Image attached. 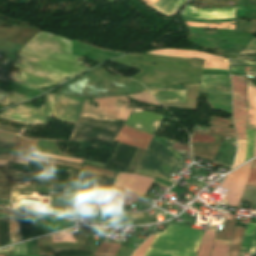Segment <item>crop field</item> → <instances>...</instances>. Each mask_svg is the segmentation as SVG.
I'll return each mask as SVG.
<instances>
[{"label":"crop field","instance_id":"crop-field-8","mask_svg":"<svg viewBox=\"0 0 256 256\" xmlns=\"http://www.w3.org/2000/svg\"><path fill=\"white\" fill-rule=\"evenodd\" d=\"M53 96H58L56 103L53 101ZM59 97H61V100H59ZM48 99L56 119L75 123L84 99L55 94H49Z\"/></svg>","mask_w":256,"mask_h":256},{"label":"crop field","instance_id":"crop-field-9","mask_svg":"<svg viewBox=\"0 0 256 256\" xmlns=\"http://www.w3.org/2000/svg\"><path fill=\"white\" fill-rule=\"evenodd\" d=\"M0 117L30 125H33L34 123L45 125L46 117L52 116L48 106H42L41 109H38L34 107L21 105L16 108L8 109L0 113Z\"/></svg>","mask_w":256,"mask_h":256},{"label":"crop field","instance_id":"crop-field-44","mask_svg":"<svg viewBox=\"0 0 256 256\" xmlns=\"http://www.w3.org/2000/svg\"><path fill=\"white\" fill-rule=\"evenodd\" d=\"M14 144L0 142V151L13 152Z\"/></svg>","mask_w":256,"mask_h":256},{"label":"crop field","instance_id":"crop-field-37","mask_svg":"<svg viewBox=\"0 0 256 256\" xmlns=\"http://www.w3.org/2000/svg\"><path fill=\"white\" fill-rule=\"evenodd\" d=\"M186 24L190 25V26H196V27H211V28L234 29V25H231L229 23H223V24H199V23H189V22H186Z\"/></svg>","mask_w":256,"mask_h":256},{"label":"crop field","instance_id":"crop-field-6","mask_svg":"<svg viewBox=\"0 0 256 256\" xmlns=\"http://www.w3.org/2000/svg\"><path fill=\"white\" fill-rule=\"evenodd\" d=\"M210 124L233 126L231 119L215 116H212ZM223 136L235 138L234 129L211 126L209 133L193 132V137L191 139L193 155L213 159Z\"/></svg>","mask_w":256,"mask_h":256},{"label":"crop field","instance_id":"crop-field-20","mask_svg":"<svg viewBox=\"0 0 256 256\" xmlns=\"http://www.w3.org/2000/svg\"><path fill=\"white\" fill-rule=\"evenodd\" d=\"M247 102L249 106L246 128L256 129V87L248 81ZM256 156V134L253 157Z\"/></svg>","mask_w":256,"mask_h":256},{"label":"crop field","instance_id":"crop-field-33","mask_svg":"<svg viewBox=\"0 0 256 256\" xmlns=\"http://www.w3.org/2000/svg\"><path fill=\"white\" fill-rule=\"evenodd\" d=\"M9 95H10V102H13V103H17L19 101L31 98V97H27V96L22 97L23 95L20 96L19 94H15V93H11V92H9ZM0 103L3 104V105L8 104V93H7V91L0 90Z\"/></svg>","mask_w":256,"mask_h":256},{"label":"crop field","instance_id":"crop-field-24","mask_svg":"<svg viewBox=\"0 0 256 256\" xmlns=\"http://www.w3.org/2000/svg\"><path fill=\"white\" fill-rule=\"evenodd\" d=\"M15 57L16 56L0 52V79L11 82L13 84L19 85V86L27 88V89L41 91V90L34 89V88L28 87L26 85H23V84H20V83H17V82L7 79V76L9 75V72H10V67H11Z\"/></svg>","mask_w":256,"mask_h":256},{"label":"crop field","instance_id":"crop-field-43","mask_svg":"<svg viewBox=\"0 0 256 256\" xmlns=\"http://www.w3.org/2000/svg\"><path fill=\"white\" fill-rule=\"evenodd\" d=\"M230 66H256L255 63H249L244 61L232 60L229 59Z\"/></svg>","mask_w":256,"mask_h":256},{"label":"crop field","instance_id":"crop-field-38","mask_svg":"<svg viewBox=\"0 0 256 256\" xmlns=\"http://www.w3.org/2000/svg\"><path fill=\"white\" fill-rule=\"evenodd\" d=\"M244 146H245V141H238V153H237L235 165L233 166V168L243 163Z\"/></svg>","mask_w":256,"mask_h":256},{"label":"crop field","instance_id":"crop-field-23","mask_svg":"<svg viewBox=\"0 0 256 256\" xmlns=\"http://www.w3.org/2000/svg\"><path fill=\"white\" fill-rule=\"evenodd\" d=\"M20 73L22 75L11 73L9 78L20 81V82H23L25 84H28V85H31V86H34V87H37V88H41V87L49 86V85H52V84H56L55 82H53L51 80L46 81L45 78H41V77H38V76H35V75H32V74H28V73H25V72H22V71H20ZM47 83H49V85H47Z\"/></svg>","mask_w":256,"mask_h":256},{"label":"crop field","instance_id":"crop-field-22","mask_svg":"<svg viewBox=\"0 0 256 256\" xmlns=\"http://www.w3.org/2000/svg\"><path fill=\"white\" fill-rule=\"evenodd\" d=\"M187 0H159L151 8L159 13L172 17L177 14Z\"/></svg>","mask_w":256,"mask_h":256},{"label":"crop field","instance_id":"crop-field-3","mask_svg":"<svg viewBox=\"0 0 256 256\" xmlns=\"http://www.w3.org/2000/svg\"><path fill=\"white\" fill-rule=\"evenodd\" d=\"M28 57H32L33 59L30 60ZM28 66L32 68L29 69L27 68ZM14 67L42 75L59 83L65 81L64 77L72 78L73 76L88 69L87 67L64 61L42 58L23 53H20L18 56Z\"/></svg>","mask_w":256,"mask_h":256},{"label":"crop field","instance_id":"crop-field-53","mask_svg":"<svg viewBox=\"0 0 256 256\" xmlns=\"http://www.w3.org/2000/svg\"><path fill=\"white\" fill-rule=\"evenodd\" d=\"M151 1V3L153 4L155 1H157V0H150Z\"/></svg>","mask_w":256,"mask_h":256},{"label":"crop field","instance_id":"crop-field-34","mask_svg":"<svg viewBox=\"0 0 256 256\" xmlns=\"http://www.w3.org/2000/svg\"><path fill=\"white\" fill-rule=\"evenodd\" d=\"M130 97L137 101L159 105L149 91H142L141 93L130 95Z\"/></svg>","mask_w":256,"mask_h":256},{"label":"crop field","instance_id":"crop-field-39","mask_svg":"<svg viewBox=\"0 0 256 256\" xmlns=\"http://www.w3.org/2000/svg\"><path fill=\"white\" fill-rule=\"evenodd\" d=\"M154 236H150L138 249L137 251L134 253L133 256H143L147 247L149 246V244L151 243V241L153 240Z\"/></svg>","mask_w":256,"mask_h":256},{"label":"crop field","instance_id":"crop-field-35","mask_svg":"<svg viewBox=\"0 0 256 256\" xmlns=\"http://www.w3.org/2000/svg\"><path fill=\"white\" fill-rule=\"evenodd\" d=\"M92 253L93 252H90V251L54 249V256H79V255L91 256Z\"/></svg>","mask_w":256,"mask_h":256},{"label":"crop field","instance_id":"crop-field-17","mask_svg":"<svg viewBox=\"0 0 256 256\" xmlns=\"http://www.w3.org/2000/svg\"><path fill=\"white\" fill-rule=\"evenodd\" d=\"M151 138L152 135L124 126L120 133L115 137L114 141L146 149Z\"/></svg>","mask_w":256,"mask_h":256},{"label":"crop field","instance_id":"crop-field-46","mask_svg":"<svg viewBox=\"0 0 256 256\" xmlns=\"http://www.w3.org/2000/svg\"><path fill=\"white\" fill-rule=\"evenodd\" d=\"M34 154H36V155H43V156H49V157H53V158H57V159H62V160H66V161H71V162L82 163V160H77V159H69V158L57 157V156H52V155H47V154H42V153H37V152H35Z\"/></svg>","mask_w":256,"mask_h":256},{"label":"crop field","instance_id":"crop-field-52","mask_svg":"<svg viewBox=\"0 0 256 256\" xmlns=\"http://www.w3.org/2000/svg\"><path fill=\"white\" fill-rule=\"evenodd\" d=\"M9 203H10V201L1 200V199H0V204H2V205H7V206H9ZM0 207H1V206H0Z\"/></svg>","mask_w":256,"mask_h":256},{"label":"crop field","instance_id":"crop-field-2","mask_svg":"<svg viewBox=\"0 0 256 256\" xmlns=\"http://www.w3.org/2000/svg\"><path fill=\"white\" fill-rule=\"evenodd\" d=\"M118 76L119 75L112 76L108 72L97 67L81 75L77 79L69 82L56 93L72 96L100 98L123 93L138 92L116 82ZM112 85L118 89H114Z\"/></svg>","mask_w":256,"mask_h":256},{"label":"crop field","instance_id":"crop-field-19","mask_svg":"<svg viewBox=\"0 0 256 256\" xmlns=\"http://www.w3.org/2000/svg\"><path fill=\"white\" fill-rule=\"evenodd\" d=\"M37 141L16 137L12 162L27 164Z\"/></svg>","mask_w":256,"mask_h":256},{"label":"crop field","instance_id":"crop-field-36","mask_svg":"<svg viewBox=\"0 0 256 256\" xmlns=\"http://www.w3.org/2000/svg\"><path fill=\"white\" fill-rule=\"evenodd\" d=\"M51 237L53 242H75L70 230L52 235Z\"/></svg>","mask_w":256,"mask_h":256},{"label":"crop field","instance_id":"crop-field-25","mask_svg":"<svg viewBox=\"0 0 256 256\" xmlns=\"http://www.w3.org/2000/svg\"><path fill=\"white\" fill-rule=\"evenodd\" d=\"M246 185L256 187V160H254L252 163L249 178ZM248 186L245 187L242 199H245L256 205V188Z\"/></svg>","mask_w":256,"mask_h":256},{"label":"crop field","instance_id":"crop-field-15","mask_svg":"<svg viewBox=\"0 0 256 256\" xmlns=\"http://www.w3.org/2000/svg\"><path fill=\"white\" fill-rule=\"evenodd\" d=\"M236 7L219 9H198L187 5L182 15L202 19H223L235 17Z\"/></svg>","mask_w":256,"mask_h":256},{"label":"crop field","instance_id":"crop-field-50","mask_svg":"<svg viewBox=\"0 0 256 256\" xmlns=\"http://www.w3.org/2000/svg\"><path fill=\"white\" fill-rule=\"evenodd\" d=\"M253 242H252V245H251V248H253L255 245H256V231H255V234H254V237H253ZM256 251V248L253 249L252 251H250V253Z\"/></svg>","mask_w":256,"mask_h":256},{"label":"crop field","instance_id":"crop-field-1","mask_svg":"<svg viewBox=\"0 0 256 256\" xmlns=\"http://www.w3.org/2000/svg\"><path fill=\"white\" fill-rule=\"evenodd\" d=\"M236 221L224 219L222 231H217L215 239L231 241ZM204 231L172 225L157 234L150 246L196 253ZM216 230L206 229L197 256H209Z\"/></svg>","mask_w":256,"mask_h":256},{"label":"crop field","instance_id":"crop-field-4","mask_svg":"<svg viewBox=\"0 0 256 256\" xmlns=\"http://www.w3.org/2000/svg\"><path fill=\"white\" fill-rule=\"evenodd\" d=\"M172 142L153 136L137 168L168 176L183 158L170 148Z\"/></svg>","mask_w":256,"mask_h":256},{"label":"crop field","instance_id":"crop-field-21","mask_svg":"<svg viewBox=\"0 0 256 256\" xmlns=\"http://www.w3.org/2000/svg\"><path fill=\"white\" fill-rule=\"evenodd\" d=\"M151 92L158 101L185 103V90L152 89Z\"/></svg>","mask_w":256,"mask_h":256},{"label":"crop field","instance_id":"crop-field-32","mask_svg":"<svg viewBox=\"0 0 256 256\" xmlns=\"http://www.w3.org/2000/svg\"><path fill=\"white\" fill-rule=\"evenodd\" d=\"M37 243L39 255L53 256V247L50 236L37 239ZM40 246L41 248L39 249ZM44 251H47V253H44Z\"/></svg>","mask_w":256,"mask_h":256},{"label":"crop field","instance_id":"crop-field-5","mask_svg":"<svg viewBox=\"0 0 256 256\" xmlns=\"http://www.w3.org/2000/svg\"><path fill=\"white\" fill-rule=\"evenodd\" d=\"M22 52L70 61L81 64L77 56L71 55V42L45 32L40 31L27 45L21 49Z\"/></svg>","mask_w":256,"mask_h":256},{"label":"crop field","instance_id":"crop-field-18","mask_svg":"<svg viewBox=\"0 0 256 256\" xmlns=\"http://www.w3.org/2000/svg\"><path fill=\"white\" fill-rule=\"evenodd\" d=\"M31 160L40 161V162H47V163H54V164H61V165H67V166H71L73 168H76L78 170H80V168L82 166V164L70 163V162H65V161H60V160H56V159L40 157V156H35V155L32 156ZM82 171L92 173V174L102 175V176L109 177V178H112V179L114 178L115 174L117 173V172H113V171H110V170H107V169L92 167V166H87V165H84Z\"/></svg>","mask_w":256,"mask_h":256},{"label":"crop field","instance_id":"crop-field-13","mask_svg":"<svg viewBox=\"0 0 256 256\" xmlns=\"http://www.w3.org/2000/svg\"><path fill=\"white\" fill-rule=\"evenodd\" d=\"M142 195L134 194L125 190H122L120 188L111 186L110 189L105 192L104 194L98 196L95 203L91 206V208L95 210H99L102 208H105L103 204L99 203L98 201L107 204V205H113L118 206L122 203L130 204L132 205L129 200L132 202H137L138 200L136 198H141ZM129 199V200H128Z\"/></svg>","mask_w":256,"mask_h":256},{"label":"crop field","instance_id":"crop-field-30","mask_svg":"<svg viewBox=\"0 0 256 256\" xmlns=\"http://www.w3.org/2000/svg\"><path fill=\"white\" fill-rule=\"evenodd\" d=\"M244 228L245 227H242V226H237L236 227V231H235V234H234L232 246L230 248L229 256H238V250L240 248Z\"/></svg>","mask_w":256,"mask_h":256},{"label":"crop field","instance_id":"crop-field-42","mask_svg":"<svg viewBox=\"0 0 256 256\" xmlns=\"http://www.w3.org/2000/svg\"><path fill=\"white\" fill-rule=\"evenodd\" d=\"M171 148L179 152L181 155L184 153L183 150L190 152L189 146L175 143V142L173 143Z\"/></svg>","mask_w":256,"mask_h":256},{"label":"crop field","instance_id":"crop-field-11","mask_svg":"<svg viewBox=\"0 0 256 256\" xmlns=\"http://www.w3.org/2000/svg\"><path fill=\"white\" fill-rule=\"evenodd\" d=\"M147 54L152 55H164V56H175V57H187V58H193V57H199L204 58V67L208 68H219V69H227L228 60L225 58H220L215 55H211L208 53H202V52H194V51H186V50H180V49H163L158 51H150L146 52ZM205 68V69H208ZM214 69V70H219ZM228 72V69H227Z\"/></svg>","mask_w":256,"mask_h":256},{"label":"crop field","instance_id":"crop-field-45","mask_svg":"<svg viewBox=\"0 0 256 256\" xmlns=\"http://www.w3.org/2000/svg\"><path fill=\"white\" fill-rule=\"evenodd\" d=\"M12 154L0 153V165L7 164V161H11Z\"/></svg>","mask_w":256,"mask_h":256},{"label":"crop field","instance_id":"crop-field-26","mask_svg":"<svg viewBox=\"0 0 256 256\" xmlns=\"http://www.w3.org/2000/svg\"><path fill=\"white\" fill-rule=\"evenodd\" d=\"M235 153L236 147H231L230 142L225 141L221 144L214 160L232 165Z\"/></svg>","mask_w":256,"mask_h":256},{"label":"crop field","instance_id":"crop-field-27","mask_svg":"<svg viewBox=\"0 0 256 256\" xmlns=\"http://www.w3.org/2000/svg\"><path fill=\"white\" fill-rule=\"evenodd\" d=\"M9 227L12 243L21 241L20 216L9 215Z\"/></svg>","mask_w":256,"mask_h":256},{"label":"crop field","instance_id":"crop-field-28","mask_svg":"<svg viewBox=\"0 0 256 256\" xmlns=\"http://www.w3.org/2000/svg\"><path fill=\"white\" fill-rule=\"evenodd\" d=\"M145 256H196V254L149 247Z\"/></svg>","mask_w":256,"mask_h":256},{"label":"crop field","instance_id":"crop-field-48","mask_svg":"<svg viewBox=\"0 0 256 256\" xmlns=\"http://www.w3.org/2000/svg\"><path fill=\"white\" fill-rule=\"evenodd\" d=\"M245 67L231 68V74H244Z\"/></svg>","mask_w":256,"mask_h":256},{"label":"crop field","instance_id":"crop-field-31","mask_svg":"<svg viewBox=\"0 0 256 256\" xmlns=\"http://www.w3.org/2000/svg\"><path fill=\"white\" fill-rule=\"evenodd\" d=\"M232 242L215 240L211 256H228Z\"/></svg>","mask_w":256,"mask_h":256},{"label":"crop field","instance_id":"crop-field-49","mask_svg":"<svg viewBox=\"0 0 256 256\" xmlns=\"http://www.w3.org/2000/svg\"><path fill=\"white\" fill-rule=\"evenodd\" d=\"M255 225L256 224L249 222V225H248V228H247L245 234L252 235Z\"/></svg>","mask_w":256,"mask_h":256},{"label":"crop field","instance_id":"crop-field-40","mask_svg":"<svg viewBox=\"0 0 256 256\" xmlns=\"http://www.w3.org/2000/svg\"><path fill=\"white\" fill-rule=\"evenodd\" d=\"M256 53V39L253 38L240 54Z\"/></svg>","mask_w":256,"mask_h":256},{"label":"crop field","instance_id":"crop-field-51","mask_svg":"<svg viewBox=\"0 0 256 256\" xmlns=\"http://www.w3.org/2000/svg\"><path fill=\"white\" fill-rule=\"evenodd\" d=\"M237 58H241V59H250V60L256 61V58H255V57H248V56H241V55H238Z\"/></svg>","mask_w":256,"mask_h":256},{"label":"crop field","instance_id":"crop-field-12","mask_svg":"<svg viewBox=\"0 0 256 256\" xmlns=\"http://www.w3.org/2000/svg\"><path fill=\"white\" fill-rule=\"evenodd\" d=\"M163 117L164 115L135 108L128 118L126 126L154 135Z\"/></svg>","mask_w":256,"mask_h":256},{"label":"crop field","instance_id":"crop-field-10","mask_svg":"<svg viewBox=\"0 0 256 256\" xmlns=\"http://www.w3.org/2000/svg\"><path fill=\"white\" fill-rule=\"evenodd\" d=\"M251 162L224 178L221 186L229 189L224 197L228 202L227 205H237L248 177Z\"/></svg>","mask_w":256,"mask_h":256},{"label":"crop field","instance_id":"crop-field-14","mask_svg":"<svg viewBox=\"0 0 256 256\" xmlns=\"http://www.w3.org/2000/svg\"><path fill=\"white\" fill-rule=\"evenodd\" d=\"M153 181V178L137 174L119 172L114 185L144 195Z\"/></svg>","mask_w":256,"mask_h":256},{"label":"crop field","instance_id":"crop-field-29","mask_svg":"<svg viewBox=\"0 0 256 256\" xmlns=\"http://www.w3.org/2000/svg\"><path fill=\"white\" fill-rule=\"evenodd\" d=\"M120 244L117 243H101L95 252V256H115Z\"/></svg>","mask_w":256,"mask_h":256},{"label":"crop field","instance_id":"crop-field-16","mask_svg":"<svg viewBox=\"0 0 256 256\" xmlns=\"http://www.w3.org/2000/svg\"><path fill=\"white\" fill-rule=\"evenodd\" d=\"M199 91L230 94L229 75H202Z\"/></svg>","mask_w":256,"mask_h":256},{"label":"crop field","instance_id":"crop-field-7","mask_svg":"<svg viewBox=\"0 0 256 256\" xmlns=\"http://www.w3.org/2000/svg\"><path fill=\"white\" fill-rule=\"evenodd\" d=\"M246 78L232 76L234 124L237 140H245L246 122ZM255 130L246 129V146L244 161L252 158Z\"/></svg>","mask_w":256,"mask_h":256},{"label":"crop field","instance_id":"crop-field-41","mask_svg":"<svg viewBox=\"0 0 256 256\" xmlns=\"http://www.w3.org/2000/svg\"><path fill=\"white\" fill-rule=\"evenodd\" d=\"M16 135L0 131V141L14 143Z\"/></svg>","mask_w":256,"mask_h":256},{"label":"crop field","instance_id":"crop-field-47","mask_svg":"<svg viewBox=\"0 0 256 256\" xmlns=\"http://www.w3.org/2000/svg\"><path fill=\"white\" fill-rule=\"evenodd\" d=\"M15 252L16 254H26V249H25V244H19V245H15Z\"/></svg>","mask_w":256,"mask_h":256}]
</instances>
